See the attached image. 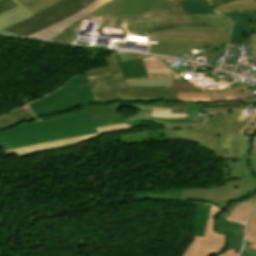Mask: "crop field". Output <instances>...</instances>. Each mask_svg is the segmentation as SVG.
Returning <instances> with one entry per match:
<instances>
[{"instance_id":"40","label":"crop field","mask_w":256,"mask_h":256,"mask_svg":"<svg viewBox=\"0 0 256 256\" xmlns=\"http://www.w3.org/2000/svg\"><path fill=\"white\" fill-rule=\"evenodd\" d=\"M239 202H241V201H239ZM239 202H233V203H231L230 208H229L228 210H225V211H224L225 214H226V216H228V214L231 212V210H232Z\"/></svg>"},{"instance_id":"14","label":"crop field","mask_w":256,"mask_h":256,"mask_svg":"<svg viewBox=\"0 0 256 256\" xmlns=\"http://www.w3.org/2000/svg\"><path fill=\"white\" fill-rule=\"evenodd\" d=\"M202 104L189 103L187 114H170L172 109L169 108H153L151 117L167 118L163 124L174 123H201L204 119L198 117L197 113H201Z\"/></svg>"},{"instance_id":"24","label":"crop field","mask_w":256,"mask_h":256,"mask_svg":"<svg viewBox=\"0 0 256 256\" xmlns=\"http://www.w3.org/2000/svg\"><path fill=\"white\" fill-rule=\"evenodd\" d=\"M128 87H172V78L125 79Z\"/></svg>"},{"instance_id":"15","label":"crop field","mask_w":256,"mask_h":256,"mask_svg":"<svg viewBox=\"0 0 256 256\" xmlns=\"http://www.w3.org/2000/svg\"><path fill=\"white\" fill-rule=\"evenodd\" d=\"M88 77L91 81L94 94L127 88L121 72L103 75H92Z\"/></svg>"},{"instance_id":"34","label":"crop field","mask_w":256,"mask_h":256,"mask_svg":"<svg viewBox=\"0 0 256 256\" xmlns=\"http://www.w3.org/2000/svg\"><path fill=\"white\" fill-rule=\"evenodd\" d=\"M253 110H255V114H252L249 122L239 132L240 134L242 133L253 134L256 131V109H253Z\"/></svg>"},{"instance_id":"39","label":"crop field","mask_w":256,"mask_h":256,"mask_svg":"<svg viewBox=\"0 0 256 256\" xmlns=\"http://www.w3.org/2000/svg\"><path fill=\"white\" fill-rule=\"evenodd\" d=\"M234 251L227 250L225 253L218 255V256H238L239 254L233 253Z\"/></svg>"},{"instance_id":"33","label":"crop field","mask_w":256,"mask_h":256,"mask_svg":"<svg viewBox=\"0 0 256 256\" xmlns=\"http://www.w3.org/2000/svg\"><path fill=\"white\" fill-rule=\"evenodd\" d=\"M151 111L138 110L136 114L126 116L127 121H147L150 120Z\"/></svg>"},{"instance_id":"25","label":"crop field","mask_w":256,"mask_h":256,"mask_svg":"<svg viewBox=\"0 0 256 256\" xmlns=\"http://www.w3.org/2000/svg\"><path fill=\"white\" fill-rule=\"evenodd\" d=\"M250 104L242 103H230V102H221L211 105L204 104L202 107L203 112H229L234 110H242L249 106Z\"/></svg>"},{"instance_id":"3","label":"crop field","mask_w":256,"mask_h":256,"mask_svg":"<svg viewBox=\"0 0 256 256\" xmlns=\"http://www.w3.org/2000/svg\"><path fill=\"white\" fill-rule=\"evenodd\" d=\"M121 123L148 126L139 122H126L125 117L92 121L87 111H84L66 117L19 124L0 132V144L8 150L96 133V127Z\"/></svg>"},{"instance_id":"36","label":"crop field","mask_w":256,"mask_h":256,"mask_svg":"<svg viewBox=\"0 0 256 256\" xmlns=\"http://www.w3.org/2000/svg\"><path fill=\"white\" fill-rule=\"evenodd\" d=\"M173 92H194L189 84H173Z\"/></svg>"},{"instance_id":"19","label":"crop field","mask_w":256,"mask_h":256,"mask_svg":"<svg viewBox=\"0 0 256 256\" xmlns=\"http://www.w3.org/2000/svg\"><path fill=\"white\" fill-rule=\"evenodd\" d=\"M223 21V27L222 28H213V27H179V28H170L158 32H151L147 33L148 35L150 34H157V33H163V32H168V31H173V30H181V29H200V30H216V31H221L220 38L219 40L216 39H211V38H204V37H194V36H180V37H191V38H202V39H210V40H215L219 42H227L228 37H229V31L231 27V22L228 19H224ZM162 38H174V37H162Z\"/></svg>"},{"instance_id":"17","label":"crop field","mask_w":256,"mask_h":256,"mask_svg":"<svg viewBox=\"0 0 256 256\" xmlns=\"http://www.w3.org/2000/svg\"><path fill=\"white\" fill-rule=\"evenodd\" d=\"M217 230L229 234L230 241L227 249L235 250V253H239L242 247L244 225L226 221L225 225L217 224Z\"/></svg>"},{"instance_id":"1","label":"crop field","mask_w":256,"mask_h":256,"mask_svg":"<svg viewBox=\"0 0 256 256\" xmlns=\"http://www.w3.org/2000/svg\"><path fill=\"white\" fill-rule=\"evenodd\" d=\"M87 17L100 19L98 29H121L124 33L125 23L128 32L144 37V29L151 32L178 26L221 27V19H224L218 14L185 15L178 2L170 3L168 0H111L51 40L73 43L79 25Z\"/></svg>"},{"instance_id":"2","label":"crop field","mask_w":256,"mask_h":256,"mask_svg":"<svg viewBox=\"0 0 256 256\" xmlns=\"http://www.w3.org/2000/svg\"><path fill=\"white\" fill-rule=\"evenodd\" d=\"M238 112L208 114L203 124L163 126L166 139L188 140L211 151L216 160H223V176L227 180L226 160L246 159L251 136L237 134L245 125L235 121ZM221 134V136H218Z\"/></svg>"},{"instance_id":"20","label":"crop field","mask_w":256,"mask_h":256,"mask_svg":"<svg viewBox=\"0 0 256 256\" xmlns=\"http://www.w3.org/2000/svg\"><path fill=\"white\" fill-rule=\"evenodd\" d=\"M248 92H252V91L249 88L243 86V87L220 91V92H206V93H209L210 104L214 103V102H221V101L242 102V103H250L251 104L252 101H249L247 97L235 98V99H230V100H223V98H222V97L234 96V94L248 93Z\"/></svg>"},{"instance_id":"6","label":"crop field","mask_w":256,"mask_h":256,"mask_svg":"<svg viewBox=\"0 0 256 256\" xmlns=\"http://www.w3.org/2000/svg\"><path fill=\"white\" fill-rule=\"evenodd\" d=\"M81 0H64L40 14L9 27L1 32L27 36L42 30L83 8ZM51 16V19H48ZM38 23V24H36Z\"/></svg>"},{"instance_id":"38","label":"crop field","mask_w":256,"mask_h":256,"mask_svg":"<svg viewBox=\"0 0 256 256\" xmlns=\"http://www.w3.org/2000/svg\"><path fill=\"white\" fill-rule=\"evenodd\" d=\"M225 217H224V214L223 212L218 216V218L216 219L217 223H221V224H224L225 222Z\"/></svg>"},{"instance_id":"44","label":"crop field","mask_w":256,"mask_h":256,"mask_svg":"<svg viewBox=\"0 0 256 256\" xmlns=\"http://www.w3.org/2000/svg\"><path fill=\"white\" fill-rule=\"evenodd\" d=\"M82 1H83V4L86 6L89 3L93 2L94 0H82Z\"/></svg>"},{"instance_id":"27","label":"crop field","mask_w":256,"mask_h":256,"mask_svg":"<svg viewBox=\"0 0 256 256\" xmlns=\"http://www.w3.org/2000/svg\"><path fill=\"white\" fill-rule=\"evenodd\" d=\"M197 207H198V215H197V224H196L194 235L203 236L210 205L205 204V207H201V206H197Z\"/></svg>"},{"instance_id":"18","label":"crop field","mask_w":256,"mask_h":256,"mask_svg":"<svg viewBox=\"0 0 256 256\" xmlns=\"http://www.w3.org/2000/svg\"><path fill=\"white\" fill-rule=\"evenodd\" d=\"M36 120L27 105L0 118V131L11 128L21 122Z\"/></svg>"},{"instance_id":"9","label":"crop field","mask_w":256,"mask_h":256,"mask_svg":"<svg viewBox=\"0 0 256 256\" xmlns=\"http://www.w3.org/2000/svg\"><path fill=\"white\" fill-rule=\"evenodd\" d=\"M134 127H138V126H127L126 124H121V125L100 127V128H97L99 133H96V134H91V135H86V136H81V137H76V138L51 142V143H45L40 145H34V146H29V147H24L19 149L8 150V151H5V155L7 157V156L17 154L19 158H22V157L42 153V152H48V151H53V150L77 145V144L89 141L103 134L118 132V131L130 129Z\"/></svg>"},{"instance_id":"42","label":"crop field","mask_w":256,"mask_h":256,"mask_svg":"<svg viewBox=\"0 0 256 256\" xmlns=\"http://www.w3.org/2000/svg\"><path fill=\"white\" fill-rule=\"evenodd\" d=\"M242 256H256V254L249 253V252H243Z\"/></svg>"},{"instance_id":"32","label":"crop field","mask_w":256,"mask_h":256,"mask_svg":"<svg viewBox=\"0 0 256 256\" xmlns=\"http://www.w3.org/2000/svg\"><path fill=\"white\" fill-rule=\"evenodd\" d=\"M177 192L178 194H169V193L160 194V195L148 194V195H137V197H150L152 199H159V200L180 201V191H177Z\"/></svg>"},{"instance_id":"13","label":"crop field","mask_w":256,"mask_h":256,"mask_svg":"<svg viewBox=\"0 0 256 256\" xmlns=\"http://www.w3.org/2000/svg\"><path fill=\"white\" fill-rule=\"evenodd\" d=\"M109 0H96L90 5L86 6L79 12L75 13L74 15L38 32L35 34H31L27 37L29 38H37V39H45L50 40L55 35H57L62 30L66 29L68 26L74 24L76 21L84 17L85 15L89 14L90 12L94 11L95 9L99 8L100 6L104 5Z\"/></svg>"},{"instance_id":"41","label":"crop field","mask_w":256,"mask_h":256,"mask_svg":"<svg viewBox=\"0 0 256 256\" xmlns=\"http://www.w3.org/2000/svg\"><path fill=\"white\" fill-rule=\"evenodd\" d=\"M170 40H199V41H209V42L216 43L215 41H210V40L190 39V38H174V39H170Z\"/></svg>"},{"instance_id":"7","label":"crop field","mask_w":256,"mask_h":256,"mask_svg":"<svg viewBox=\"0 0 256 256\" xmlns=\"http://www.w3.org/2000/svg\"><path fill=\"white\" fill-rule=\"evenodd\" d=\"M149 41H158V45L150 44L149 53L169 55L174 57H182L186 55L188 50H198L201 51V54L210 56L212 61L210 66H212L216 57L218 56L221 48V44H212L208 42H199V41H170V40H149ZM200 53V52H199ZM214 67V66H213ZM217 68V67H216Z\"/></svg>"},{"instance_id":"11","label":"crop field","mask_w":256,"mask_h":256,"mask_svg":"<svg viewBox=\"0 0 256 256\" xmlns=\"http://www.w3.org/2000/svg\"><path fill=\"white\" fill-rule=\"evenodd\" d=\"M220 14L235 21L229 43H251L252 32L256 26L255 11L235 9L221 11Z\"/></svg>"},{"instance_id":"50","label":"crop field","mask_w":256,"mask_h":256,"mask_svg":"<svg viewBox=\"0 0 256 256\" xmlns=\"http://www.w3.org/2000/svg\"><path fill=\"white\" fill-rule=\"evenodd\" d=\"M256 1V0H255Z\"/></svg>"},{"instance_id":"28","label":"crop field","mask_w":256,"mask_h":256,"mask_svg":"<svg viewBox=\"0 0 256 256\" xmlns=\"http://www.w3.org/2000/svg\"><path fill=\"white\" fill-rule=\"evenodd\" d=\"M235 8H244V9H252L256 10V2L251 0H237L231 3H227L221 6L214 7V10L216 12H220V10L225 9H235Z\"/></svg>"},{"instance_id":"47","label":"crop field","mask_w":256,"mask_h":256,"mask_svg":"<svg viewBox=\"0 0 256 256\" xmlns=\"http://www.w3.org/2000/svg\"><path fill=\"white\" fill-rule=\"evenodd\" d=\"M249 247L255 248L256 249V244L250 245Z\"/></svg>"},{"instance_id":"43","label":"crop field","mask_w":256,"mask_h":256,"mask_svg":"<svg viewBox=\"0 0 256 256\" xmlns=\"http://www.w3.org/2000/svg\"><path fill=\"white\" fill-rule=\"evenodd\" d=\"M256 35H253V39H252V44L254 46V48L256 49Z\"/></svg>"},{"instance_id":"23","label":"crop field","mask_w":256,"mask_h":256,"mask_svg":"<svg viewBox=\"0 0 256 256\" xmlns=\"http://www.w3.org/2000/svg\"><path fill=\"white\" fill-rule=\"evenodd\" d=\"M256 207V200H246L242 203H239L230 213L227 219L245 223L246 218Z\"/></svg>"},{"instance_id":"16","label":"crop field","mask_w":256,"mask_h":256,"mask_svg":"<svg viewBox=\"0 0 256 256\" xmlns=\"http://www.w3.org/2000/svg\"><path fill=\"white\" fill-rule=\"evenodd\" d=\"M119 109L120 108H109V103L108 104H92V105H88L86 107L79 108L70 112L50 114V115H45L39 118L41 120H45V119H50V118H55L60 116H66L75 112L87 110L92 120H95V119H101V118L123 116L117 112Z\"/></svg>"},{"instance_id":"29","label":"crop field","mask_w":256,"mask_h":256,"mask_svg":"<svg viewBox=\"0 0 256 256\" xmlns=\"http://www.w3.org/2000/svg\"><path fill=\"white\" fill-rule=\"evenodd\" d=\"M200 102L209 104L208 94L178 93L177 102Z\"/></svg>"},{"instance_id":"31","label":"crop field","mask_w":256,"mask_h":256,"mask_svg":"<svg viewBox=\"0 0 256 256\" xmlns=\"http://www.w3.org/2000/svg\"><path fill=\"white\" fill-rule=\"evenodd\" d=\"M246 240L251 243H256V211L252 214L248 223Z\"/></svg>"},{"instance_id":"5","label":"crop field","mask_w":256,"mask_h":256,"mask_svg":"<svg viewBox=\"0 0 256 256\" xmlns=\"http://www.w3.org/2000/svg\"><path fill=\"white\" fill-rule=\"evenodd\" d=\"M95 103L87 75L83 74L68 81L61 89L29 104L36 117L69 111Z\"/></svg>"},{"instance_id":"30","label":"crop field","mask_w":256,"mask_h":256,"mask_svg":"<svg viewBox=\"0 0 256 256\" xmlns=\"http://www.w3.org/2000/svg\"><path fill=\"white\" fill-rule=\"evenodd\" d=\"M21 7L23 5L18 0H0V17Z\"/></svg>"},{"instance_id":"49","label":"crop field","mask_w":256,"mask_h":256,"mask_svg":"<svg viewBox=\"0 0 256 256\" xmlns=\"http://www.w3.org/2000/svg\"><path fill=\"white\" fill-rule=\"evenodd\" d=\"M253 34H256V28H255V30H254V32H253Z\"/></svg>"},{"instance_id":"26","label":"crop field","mask_w":256,"mask_h":256,"mask_svg":"<svg viewBox=\"0 0 256 256\" xmlns=\"http://www.w3.org/2000/svg\"><path fill=\"white\" fill-rule=\"evenodd\" d=\"M220 32L215 31H200V30H182V31H173L163 34L151 35L152 37H162V36H179V35H195V36H204L218 39Z\"/></svg>"},{"instance_id":"46","label":"crop field","mask_w":256,"mask_h":256,"mask_svg":"<svg viewBox=\"0 0 256 256\" xmlns=\"http://www.w3.org/2000/svg\"><path fill=\"white\" fill-rule=\"evenodd\" d=\"M245 249H247V250H249V251H252V252L256 253V250H255V249L248 248V247H245Z\"/></svg>"},{"instance_id":"8","label":"crop field","mask_w":256,"mask_h":256,"mask_svg":"<svg viewBox=\"0 0 256 256\" xmlns=\"http://www.w3.org/2000/svg\"><path fill=\"white\" fill-rule=\"evenodd\" d=\"M148 55H139L131 53H118L105 57L107 66L90 69L87 74H102L116 71H122L125 78L147 77L144 64L141 57Z\"/></svg>"},{"instance_id":"21","label":"crop field","mask_w":256,"mask_h":256,"mask_svg":"<svg viewBox=\"0 0 256 256\" xmlns=\"http://www.w3.org/2000/svg\"><path fill=\"white\" fill-rule=\"evenodd\" d=\"M179 4L185 14L215 13L208 0H182Z\"/></svg>"},{"instance_id":"22","label":"crop field","mask_w":256,"mask_h":256,"mask_svg":"<svg viewBox=\"0 0 256 256\" xmlns=\"http://www.w3.org/2000/svg\"><path fill=\"white\" fill-rule=\"evenodd\" d=\"M148 74L174 73L173 79H183L172 71L158 57L142 58Z\"/></svg>"},{"instance_id":"10","label":"crop field","mask_w":256,"mask_h":256,"mask_svg":"<svg viewBox=\"0 0 256 256\" xmlns=\"http://www.w3.org/2000/svg\"><path fill=\"white\" fill-rule=\"evenodd\" d=\"M219 212L214 206L210 207L204 237H194L182 256H211L223 249L226 236L213 232V217Z\"/></svg>"},{"instance_id":"12","label":"crop field","mask_w":256,"mask_h":256,"mask_svg":"<svg viewBox=\"0 0 256 256\" xmlns=\"http://www.w3.org/2000/svg\"><path fill=\"white\" fill-rule=\"evenodd\" d=\"M25 7L0 18V31L30 18L62 0H19Z\"/></svg>"},{"instance_id":"35","label":"crop field","mask_w":256,"mask_h":256,"mask_svg":"<svg viewBox=\"0 0 256 256\" xmlns=\"http://www.w3.org/2000/svg\"><path fill=\"white\" fill-rule=\"evenodd\" d=\"M249 159L251 161L250 167H251V169L254 170L255 176H256V136L253 139V151H252ZM249 199H251L252 201L255 200L256 199V195L252 196Z\"/></svg>"},{"instance_id":"48","label":"crop field","mask_w":256,"mask_h":256,"mask_svg":"<svg viewBox=\"0 0 256 256\" xmlns=\"http://www.w3.org/2000/svg\"><path fill=\"white\" fill-rule=\"evenodd\" d=\"M170 2H173V1H179V0H169Z\"/></svg>"},{"instance_id":"45","label":"crop field","mask_w":256,"mask_h":256,"mask_svg":"<svg viewBox=\"0 0 256 256\" xmlns=\"http://www.w3.org/2000/svg\"><path fill=\"white\" fill-rule=\"evenodd\" d=\"M173 83H187L184 80H173Z\"/></svg>"},{"instance_id":"37","label":"crop field","mask_w":256,"mask_h":256,"mask_svg":"<svg viewBox=\"0 0 256 256\" xmlns=\"http://www.w3.org/2000/svg\"><path fill=\"white\" fill-rule=\"evenodd\" d=\"M230 1H234V0H210L213 7L217 6V5H220V4L230 2Z\"/></svg>"},{"instance_id":"4","label":"crop field","mask_w":256,"mask_h":256,"mask_svg":"<svg viewBox=\"0 0 256 256\" xmlns=\"http://www.w3.org/2000/svg\"><path fill=\"white\" fill-rule=\"evenodd\" d=\"M228 183L215 188L182 189V201L198 200L211 202L221 210L228 208L234 200H243L256 191V179L248 168L247 160L227 161Z\"/></svg>"}]
</instances>
